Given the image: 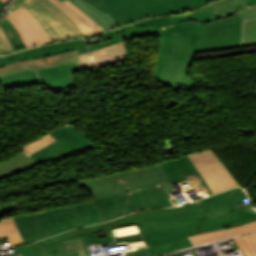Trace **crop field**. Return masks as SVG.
<instances>
[{"instance_id":"8a807250","label":"crop field","mask_w":256,"mask_h":256,"mask_svg":"<svg viewBox=\"0 0 256 256\" xmlns=\"http://www.w3.org/2000/svg\"><path fill=\"white\" fill-rule=\"evenodd\" d=\"M252 203L223 216L199 220L204 216L196 202L174 208L149 209L133 213L110 222L71 230L60 234L68 256H87L79 238L81 235L108 228L140 225L150 251V256L193 245L187 236L239 226L256 220Z\"/></svg>"},{"instance_id":"ac0d7876","label":"crop field","mask_w":256,"mask_h":256,"mask_svg":"<svg viewBox=\"0 0 256 256\" xmlns=\"http://www.w3.org/2000/svg\"><path fill=\"white\" fill-rule=\"evenodd\" d=\"M79 70L78 50L26 61L22 51L0 57V81L4 88L46 83L55 93L74 86Z\"/></svg>"},{"instance_id":"34b2d1b8","label":"crop field","mask_w":256,"mask_h":256,"mask_svg":"<svg viewBox=\"0 0 256 256\" xmlns=\"http://www.w3.org/2000/svg\"><path fill=\"white\" fill-rule=\"evenodd\" d=\"M209 6L220 20L204 25L196 52L240 47L242 21L256 17V5L247 0H217Z\"/></svg>"},{"instance_id":"412701ff","label":"crop field","mask_w":256,"mask_h":256,"mask_svg":"<svg viewBox=\"0 0 256 256\" xmlns=\"http://www.w3.org/2000/svg\"><path fill=\"white\" fill-rule=\"evenodd\" d=\"M110 14L120 26L133 21L194 9L184 0H85Z\"/></svg>"},{"instance_id":"f4fd0767","label":"crop field","mask_w":256,"mask_h":256,"mask_svg":"<svg viewBox=\"0 0 256 256\" xmlns=\"http://www.w3.org/2000/svg\"><path fill=\"white\" fill-rule=\"evenodd\" d=\"M190 45L189 31L174 34L172 54L159 52L153 76L161 83L177 90H190L195 83L188 76V69L194 57L187 51ZM179 90V89H178Z\"/></svg>"},{"instance_id":"dd49c442","label":"crop field","mask_w":256,"mask_h":256,"mask_svg":"<svg viewBox=\"0 0 256 256\" xmlns=\"http://www.w3.org/2000/svg\"><path fill=\"white\" fill-rule=\"evenodd\" d=\"M23 6L32 13L51 42L85 36L71 19L50 0H17L1 18L0 23L10 12Z\"/></svg>"},{"instance_id":"e52e79f7","label":"crop field","mask_w":256,"mask_h":256,"mask_svg":"<svg viewBox=\"0 0 256 256\" xmlns=\"http://www.w3.org/2000/svg\"><path fill=\"white\" fill-rule=\"evenodd\" d=\"M189 157L213 194L239 185L212 149L189 154Z\"/></svg>"},{"instance_id":"d8731c3e","label":"crop field","mask_w":256,"mask_h":256,"mask_svg":"<svg viewBox=\"0 0 256 256\" xmlns=\"http://www.w3.org/2000/svg\"><path fill=\"white\" fill-rule=\"evenodd\" d=\"M161 165L163 167V170L168 180V182L163 183V185L173 206L177 205L173 199L180 197L178 196L173 198L169 193L171 191H175V188L173 187L172 184L176 182L179 183L181 188H182L181 183L187 182L190 188H192L188 191L193 190L195 192L204 188L209 189V187L204 182L202 176L200 175V173L198 172V170L196 169V167L194 166V164L192 163L188 155L177 158V159H173L170 161L162 162ZM191 177L198 178V182H199L198 185L192 186V183L189 181V178Z\"/></svg>"},{"instance_id":"5a996713","label":"crop field","mask_w":256,"mask_h":256,"mask_svg":"<svg viewBox=\"0 0 256 256\" xmlns=\"http://www.w3.org/2000/svg\"><path fill=\"white\" fill-rule=\"evenodd\" d=\"M203 25L204 24L201 22L186 21L184 23L165 27L163 30H152L151 28H148V27H136L130 31L119 33L117 35L122 39H127V38H132L137 36L160 34L161 41H160L159 51L171 53L173 33L190 30L191 46L189 50L195 52L200 41V35H201Z\"/></svg>"},{"instance_id":"3316defc","label":"crop field","mask_w":256,"mask_h":256,"mask_svg":"<svg viewBox=\"0 0 256 256\" xmlns=\"http://www.w3.org/2000/svg\"><path fill=\"white\" fill-rule=\"evenodd\" d=\"M67 152L70 151L57 141L30 156L23 151L10 160L0 164V179L29 169L43 161L59 157Z\"/></svg>"},{"instance_id":"28ad6ade","label":"crop field","mask_w":256,"mask_h":256,"mask_svg":"<svg viewBox=\"0 0 256 256\" xmlns=\"http://www.w3.org/2000/svg\"><path fill=\"white\" fill-rule=\"evenodd\" d=\"M61 231L102 222L93 201L52 209Z\"/></svg>"},{"instance_id":"d1516ede","label":"crop field","mask_w":256,"mask_h":256,"mask_svg":"<svg viewBox=\"0 0 256 256\" xmlns=\"http://www.w3.org/2000/svg\"><path fill=\"white\" fill-rule=\"evenodd\" d=\"M94 203L103 222L146 208L137 190L124 195L94 200Z\"/></svg>"},{"instance_id":"22f410ed","label":"crop field","mask_w":256,"mask_h":256,"mask_svg":"<svg viewBox=\"0 0 256 256\" xmlns=\"http://www.w3.org/2000/svg\"><path fill=\"white\" fill-rule=\"evenodd\" d=\"M248 203L250 202L246 198L244 190L241 188H233L197 201V204L206 216L201 219L223 215L240 208L242 204L245 205Z\"/></svg>"},{"instance_id":"cbeb9de0","label":"crop field","mask_w":256,"mask_h":256,"mask_svg":"<svg viewBox=\"0 0 256 256\" xmlns=\"http://www.w3.org/2000/svg\"><path fill=\"white\" fill-rule=\"evenodd\" d=\"M7 18L19 31L27 48L50 42L47 35L25 7L10 13Z\"/></svg>"},{"instance_id":"5142ce71","label":"crop field","mask_w":256,"mask_h":256,"mask_svg":"<svg viewBox=\"0 0 256 256\" xmlns=\"http://www.w3.org/2000/svg\"><path fill=\"white\" fill-rule=\"evenodd\" d=\"M119 174L128 192L150 184L167 181L160 163Z\"/></svg>"},{"instance_id":"d9b57169","label":"crop field","mask_w":256,"mask_h":256,"mask_svg":"<svg viewBox=\"0 0 256 256\" xmlns=\"http://www.w3.org/2000/svg\"><path fill=\"white\" fill-rule=\"evenodd\" d=\"M76 183L86 187L94 199L127 193L118 173Z\"/></svg>"},{"instance_id":"733c2abd","label":"crop field","mask_w":256,"mask_h":256,"mask_svg":"<svg viewBox=\"0 0 256 256\" xmlns=\"http://www.w3.org/2000/svg\"><path fill=\"white\" fill-rule=\"evenodd\" d=\"M51 1L67 14L86 36L106 31L70 1Z\"/></svg>"},{"instance_id":"4a817a6b","label":"crop field","mask_w":256,"mask_h":256,"mask_svg":"<svg viewBox=\"0 0 256 256\" xmlns=\"http://www.w3.org/2000/svg\"><path fill=\"white\" fill-rule=\"evenodd\" d=\"M71 152L93 147L94 144L77 128L65 126L49 133Z\"/></svg>"},{"instance_id":"bc2a9ffb","label":"crop field","mask_w":256,"mask_h":256,"mask_svg":"<svg viewBox=\"0 0 256 256\" xmlns=\"http://www.w3.org/2000/svg\"><path fill=\"white\" fill-rule=\"evenodd\" d=\"M91 68L107 66L120 60L128 59L124 42L91 51Z\"/></svg>"},{"instance_id":"214f88e0","label":"crop field","mask_w":256,"mask_h":256,"mask_svg":"<svg viewBox=\"0 0 256 256\" xmlns=\"http://www.w3.org/2000/svg\"><path fill=\"white\" fill-rule=\"evenodd\" d=\"M84 39L73 40L68 42H60L50 45H44L30 50L23 51L26 60L40 57H47L51 55H56L59 53H64L70 50H76L85 47Z\"/></svg>"},{"instance_id":"92a150f3","label":"crop field","mask_w":256,"mask_h":256,"mask_svg":"<svg viewBox=\"0 0 256 256\" xmlns=\"http://www.w3.org/2000/svg\"><path fill=\"white\" fill-rule=\"evenodd\" d=\"M252 231H256V221L239 226V227H235V228L201 233L190 238L194 242V244L197 245V244L214 241L218 239H223V238L244 234Z\"/></svg>"},{"instance_id":"dafd665d","label":"crop field","mask_w":256,"mask_h":256,"mask_svg":"<svg viewBox=\"0 0 256 256\" xmlns=\"http://www.w3.org/2000/svg\"><path fill=\"white\" fill-rule=\"evenodd\" d=\"M164 189L162 183H160L147 186L138 191L147 208L171 206Z\"/></svg>"},{"instance_id":"00972430","label":"crop field","mask_w":256,"mask_h":256,"mask_svg":"<svg viewBox=\"0 0 256 256\" xmlns=\"http://www.w3.org/2000/svg\"><path fill=\"white\" fill-rule=\"evenodd\" d=\"M62 1V0H61ZM106 30L120 27L108 14L98 10L84 0H70Z\"/></svg>"},{"instance_id":"a9b5d70f","label":"crop field","mask_w":256,"mask_h":256,"mask_svg":"<svg viewBox=\"0 0 256 256\" xmlns=\"http://www.w3.org/2000/svg\"><path fill=\"white\" fill-rule=\"evenodd\" d=\"M30 242L46 238L36 213L19 217Z\"/></svg>"},{"instance_id":"4177f3b9","label":"crop field","mask_w":256,"mask_h":256,"mask_svg":"<svg viewBox=\"0 0 256 256\" xmlns=\"http://www.w3.org/2000/svg\"><path fill=\"white\" fill-rule=\"evenodd\" d=\"M171 18H172L173 24L183 22L186 20H196V21H201L203 23H206V22L218 19L215 13L213 12V10L209 6H206L202 9H198L191 13L173 16Z\"/></svg>"},{"instance_id":"730fd06b","label":"crop field","mask_w":256,"mask_h":256,"mask_svg":"<svg viewBox=\"0 0 256 256\" xmlns=\"http://www.w3.org/2000/svg\"><path fill=\"white\" fill-rule=\"evenodd\" d=\"M35 244L37 248L42 246L45 256H67L60 235L36 242Z\"/></svg>"},{"instance_id":"eef30255","label":"crop field","mask_w":256,"mask_h":256,"mask_svg":"<svg viewBox=\"0 0 256 256\" xmlns=\"http://www.w3.org/2000/svg\"><path fill=\"white\" fill-rule=\"evenodd\" d=\"M5 236L10 246L24 243L12 218L0 222V238Z\"/></svg>"},{"instance_id":"ae1a2a85","label":"crop field","mask_w":256,"mask_h":256,"mask_svg":"<svg viewBox=\"0 0 256 256\" xmlns=\"http://www.w3.org/2000/svg\"><path fill=\"white\" fill-rule=\"evenodd\" d=\"M38 215L48 237L61 233L51 209L38 212Z\"/></svg>"},{"instance_id":"d3111659","label":"crop field","mask_w":256,"mask_h":256,"mask_svg":"<svg viewBox=\"0 0 256 256\" xmlns=\"http://www.w3.org/2000/svg\"><path fill=\"white\" fill-rule=\"evenodd\" d=\"M0 25L7 33L14 51L26 49L25 45L23 44L20 38L18 31L12 26L13 24L11 25V23L7 20V18H5Z\"/></svg>"},{"instance_id":"750c4746","label":"crop field","mask_w":256,"mask_h":256,"mask_svg":"<svg viewBox=\"0 0 256 256\" xmlns=\"http://www.w3.org/2000/svg\"><path fill=\"white\" fill-rule=\"evenodd\" d=\"M256 45V19L245 21L243 24L242 47Z\"/></svg>"},{"instance_id":"bd1437ed","label":"crop field","mask_w":256,"mask_h":256,"mask_svg":"<svg viewBox=\"0 0 256 256\" xmlns=\"http://www.w3.org/2000/svg\"><path fill=\"white\" fill-rule=\"evenodd\" d=\"M235 241L246 256H256V234L235 238Z\"/></svg>"},{"instance_id":"1d83c4d3","label":"crop field","mask_w":256,"mask_h":256,"mask_svg":"<svg viewBox=\"0 0 256 256\" xmlns=\"http://www.w3.org/2000/svg\"><path fill=\"white\" fill-rule=\"evenodd\" d=\"M56 141L54 138H52L49 134L45 135L44 137L30 143L27 144L25 146H22L27 152H29L30 154L47 146L48 144L52 143Z\"/></svg>"},{"instance_id":"120bbe31","label":"crop field","mask_w":256,"mask_h":256,"mask_svg":"<svg viewBox=\"0 0 256 256\" xmlns=\"http://www.w3.org/2000/svg\"><path fill=\"white\" fill-rule=\"evenodd\" d=\"M15 253L23 252L24 256H44L42 248L36 249L35 244H27L13 248Z\"/></svg>"},{"instance_id":"d32e631a","label":"crop field","mask_w":256,"mask_h":256,"mask_svg":"<svg viewBox=\"0 0 256 256\" xmlns=\"http://www.w3.org/2000/svg\"><path fill=\"white\" fill-rule=\"evenodd\" d=\"M14 52L12 49V46L3 31V29L0 27V55H6L9 53Z\"/></svg>"},{"instance_id":"5866460e","label":"crop field","mask_w":256,"mask_h":256,"mask_svg":"<svg viewBox=\"0 0 256 256\" xmlns=\"http://www.w3.org/2000/svg\"><path fill=\"white\" fill-rule=\"evenodd\" d=\"M148 27L153 29H163V27L172 24L170 17L149 19L146 21Z\"/></svg>"},{"instance_id":"028f5c9d","label":"crop field","mask_w":256,"mask_h":256,"mask_svg":"<svg viewBox=\"0 0 256 256\" xmlns=\"http://www.w3.org/2000/svg\"><path fill=\"white\" fill-rule=\"evenodd\" d=\"M135 26H146V24H145L144 21H142V22H139V23H135V24H131L129 26L122 27L120 29H116V30H113V31H110V32L100 34V36L102 37L103 42H105V41H108L110 38H112L118 32L127 31V30H129V29H131Z\"/></svg>"},{"instance_id":"e1f06a70","label":"crop field","mask_w":256,"mask_h":256,"mask_svg":"<svg viewBox=\"0 0 256 256\" xmlns=\"http://www.w3.org/2000/svg\"><path fill=\"white\" fill-rule=\"evenodd\" d=\"M122 41V39H120L117 35H115L110 41L108 42H105V43H101V44H97V45H93V46H89V51L90 50H94V49H98V48H102L104 46H107V45H110V44H113V43H117V42H120Z\"/></svg>"},{"instance_id":"0bd39190","label":"crop field","mask_w":256,"mask_h":256,"mask_svg":"<svg viewBox=\"0 0 256 256\" xmlns=\"http://www.w3.org/2000/svg\"><path fill=\"white\" fill-rule=\"evenodd\" d=\"M186 1L189 2L191 5H193L195 8H199L215 0H186Z\"/></svg>"},{"instance_id":"b80d0937","label":"crop field","mask_w":256,"mask_h":256,"mask_svg":"<svg viewBox=\"0 0 256 256\" xmlns=\"http://www.w3.org/2000/svg\"><path fill=\"white\" fill-rule=\"evenodd\" d=\"M80 69L88 68V53L79 55Z\"/></svg>"},{"instance_id":"c035e120","label":"crop field","mask_w":256,"mask_h":256,"mask_svg":"<svg viewBox=\"0 0 256 256\" xmlns=\"http://www.w3.org/2000/svg\"><path fill=\"white\" fill-rule=\"evenodd\" d=\"M127 256H148L145 248L126 253Z\"/></svg>"},{"instance_id":"c21b1889","label":"crop field","mask_w":256,"mask_h":256,"mask_svg":"<svg viewBox=\"0 0 256 256\" xmlns=\"http://www.w3.org/2000/svg\"><path fill=\"white\" fill-rule=\"evenodd\" d=\"M13 219H14V221H15V223H16V225H17L19 231H20V234H21V236H22L24 242H25V243H28L29 241H28V239H27V237H26V234H25V232H24V230H23V228H22V226H21V224H20L18 218H17V217H13Z\"/></svg>"},{"instance_id":"03da06ac","label":"crop field","mask_w":256,"mask_h":256,"mask_svg":"<svg viewBox=\"0 0 256 256\" xmlns=\"http://www.w3.org/2000/svg\"><path fill=\"white\" fill-rule=\"evenodd\" d=\"M16 209L15 205H10V206H5V207H1L0 208V219L7 213H9L10 211Z\"/></svg>"},{"instance_id":"b54c1fbb","label":"crop field","mask_w":256,"mask_h":256,"mask_svg":"<svg viewBox=\"0 0 256 256\" xmlns=\"http://www.w3.org/2000/svg\"><path fill=\"white\" fill-rule=\"evenodd\" d=\"M88 52L87 48L79 49V54Z\"/></svg>"},{"instance_id":"5d738f31","label":"crop field","mask_w":256,"mask_h":256,"mask_svg":"<svg viewBox=\"0 0 256 256\" xmlns=\"http://www.w3.org/2000/svg\"><path fill=\"white\" fill-rule=\"evenodd\" d=\"M3 1V3L6 5V4H8L11 0H2Z\"/></svg>"},{"instance_id":"d23c7cc5","label":"crop field","mask_w":256,"mask_h":256,"mask_svg":"<svg viewBox=\"0 0 256 256\" xmlns=\"http://www.w3.org/2000/svg\"><path fill=\"white\" fill-rule=\"evenodd\" d=\"M3 6H5V5H4V4L2 3V1L0 0V9H2Z\"/></svg>"},{"instance_id":"425ffa30","label":"crop field","mask_w":256,"mask_h":256,"mask_svg":"<svg viewBox=\"0 0 256 256\" xmlns=\"http://www.w3.org/2000/svg\"><path fill=\"white\" fill-rule=\"evenodd\" d=\"M249 2H251L253 5L256 4V0H248Z\"/></svg>"},{"instance_id":"25e5ab78","label":"crop field","mask_w":256,"mask_h":256,"mask_svg":"<svg viewBox=\"0 0 256 256\" xmlns=\"http://www.w3.org/2000/svg\"><path fill=\"white\" fill-rule=\"evenodd\" d=\"M191 251L193 252V254H194L195 256H198V255L196 254L195 250L191 249Z\"/></svg>"}]
</instances>
